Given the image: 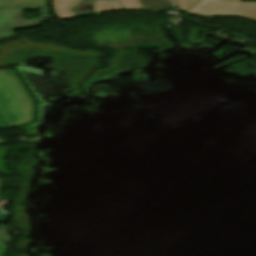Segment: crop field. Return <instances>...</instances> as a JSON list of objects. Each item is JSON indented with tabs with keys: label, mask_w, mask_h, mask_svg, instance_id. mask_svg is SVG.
Listing matches in <instances>:
<instances>
[{
	"label": "crop field",
	"mask_w": 256,
	"mask_h": 256,
	"mask_svg": "<svg viewBox=\"0 0 256 256\" xmlns=\"http://www.w3.org/2000/svg\"><path fill=\"white\" fill-rule=\"evenodd\" d=\"M53 7L61 20L83 14L124 9L117 0H53Z\"/></svg>",
	"instance_id": "obj_1"
},
{
	"label": "crop field",
	"mask_w": 256,
	"mask_h": 256,
	"mask_svg": "<svg viewBox=\"0 0 256 256\" xmlns=\"http://www.w3.org/2000/svg\"><path fill=\"white\" fill-rule=\"evenodd\" d=\"M200 16H238L256 21V3H233L221 0H203L190 10Z\"/></svg>",
	"instance_id": "obj_2"
},
{
	"label": "crop field",
	"mask_w": 256,
	"mask_h": 256,
	"mask_svg": "<svg viewBox=\"0 0 256 256\" xmlns=\"http://www.w3.org/2000/svg\"><path fill=\"white\" fill-rule=\"evenodd\" d=\"M139 2L144 10L153 13L174 7L171 0H139Z\"/></svg>",
	"instance_id": "obj_3"
},
{
	"label": "crop field",
	"mask_w": 256,
	"mask_h": 256,
	"mask_svg": "<svg viewBox=\"0 0 256 256\" xmlns=\"http://www.w3.org/2000/svg\"><path fill=\"white\" fill-rule=\"evenodd\" d=\"M125 9H142L138 0H118Z\"/></svg>",
	"instance_id": "obj_4"
},
{
	"label": "crop field",
	"mask_w": 256,
	"mask_h": 256,
	"mask_svg": "<svg viewBox=\"0 0 256 256\" xmlns=\"http://www.w3.org/2000/svg\"><path fill=\"white\" fill-rule=\"evenodd\" d=\"M181 11H187L192 7L198 0H175Z\"/></svg>",
	"instance_id": "obj_5"
},
{
	"label": "crop field",
	"mask_w": 256,
	"mask_h": 256,
	"mask_svg": "<svg viewBox=\"0 0 256 256\" xmlns=\"http://www.w3.org/2000/svg\"><path fill=\"white\" fill-rule=\"evenodd\" d=\"M10 151L9 148L5 147V146H0V160H3L6 156V154ZM6 162H0L1 164H5ZM0 173L4 174V175H8L6 169L4 166H0Z\"/></svg>",
	"instance_id": "obj_6"
},
{
	"label": "crop field",
	"mask_w": 256,
	"mask_h": 256,
	"mask_svg": "<svg viewBox=\"0 0 256 256\" xmlns=\"http://www.w3.org/2000/svg\"><path fill=\"white\" fill-rule=\"evenodd\" d=\"M5 230H10V229L0 225V243H7L11 241Z\"/></svg>",
	"instance_id": "obj_7"
},
{
	"label": "crop field",
	"mask_w": 256,
	"mask_h": 256,
	"mask_svg": "<svg viewBox=\"0 0 256 256\" xmlns=\"http://www.w3.org/2000/svg\"><path fill=\"white\" fill-rule=\"evenodd\" d=\"M8 217H0V222H6Z\"/></svg>",
	"instance_id": "obj_8"
},
{
	"label": "crop field",
	"mask_w": 256,
	"mask_h": 256,
	"mask_svg": "<svg viewBox=\"0 0 256 256\" xmlns=\"http://www.w3.org/2000/svg\"><path fill=\"white\" fill-rule=\"evenodd\" d=\"M232 1H240V0H232Z\"/></svg>",
	"instance_id": "obj_9"
}]
</instances>
